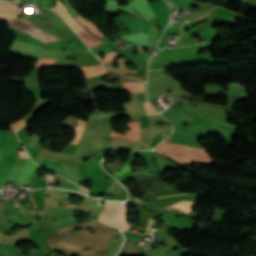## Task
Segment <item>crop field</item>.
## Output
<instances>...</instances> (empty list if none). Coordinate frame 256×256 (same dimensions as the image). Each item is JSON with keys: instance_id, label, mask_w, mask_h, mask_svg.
<instances>
[{"instance_id": "crop-field-1", "label": "crop field", "mask_w": 256, "mask_h": 256, "mask_svg": "<svg viewBox=\"0 0 256 256\" xmlns=\"http://www.w3.org/2000/svg\"><path fill=\"white\" fill-rule=\"evenodd\" d=\"M158 147L181 151V152L193 153V154L207 155V153L204 152V149L170 143V142H162L161 144L158 145ZM160 148L157 149L158 152L168 155V156H171V157H174L184 163L198 162V163H203V164H208V165L214 163L213 160H211L209 158V156L186 154V153L170 151V150H165V149H160Z\"/></svg>"}, {"instance_id": "crop-field-2", "label": "crop field", "mask_w": 256, "mask_h": 256, "mask_svg": "<svg viewBox=\"0 0 256 256\" xmlns=\"http://www.w3.org/2000/svg\"><path fill=\"white\" fill-rule=\"evenodd\" d=\"M40 13H42L46 16L49 14V12H47L45 10H41ZM6 23H9L28 34L41 39L45 43L50 42V41H55V40H61V38L47 32V31H45L27 21L25 22L19 18H15L12 20H6Z\"/></svg>"}, {"instance_id": "crop-field-3", "label": "crop field", "mask_w": 256, "mask_h": 256, "mask_svg": "<svg viewBox=\"0 0 256 256\" xmlns=\"http://www.w3.org/2000/svg\"><path fill=\"white\" fill-rule=\"evenodd\" d=\"M140 122H131L128 123V127L131 129L129 132H125L126 135H120L117 133L112 132L111 135H117V136H122L126 138H134V139H139V134H140V128H139ZM117 136H110V139H112L114 144H135L136 141L138 140H133V139H126L122 137H117Z\"/></svg>"}, {"instance_id": "crop-field-4", "label": "crop field", "mask_w": 256, "mask_h": 256, "mask_svg": "<svg viewBox=\"0 0 256 256\" xmlns=\"http://www.w3.org/2000/svg\"><path fill=\"white\" fill-rule=\"evenodd\" d=\"M53 10L57 12L76 33L84 29L76 20H74L68 14L67 9L64 7V5L61 4L60 1H57L56 6Z\"/></svg>"}, {"instance_id": "crop-field-5", "label": "crop field", "mask_w": 256, "mask_h": 256, "mask_svg": "<svg viewBox=\"0 0 256 256\" xmlns=\"http://www.w3.org/2000/svg\"><path fill=\"white\" fill-rule=\"evenodd\" d=\"M120 205H121V203H119V202H108L107 206L105 207L103 212L100 214L99 220L109 226H113V227L117 228L114 223V220L112 218V213Z\"/></svg>"}, {"instance_id": "crop-field-6", "label": "crop field", "mask_w": 256, "mask_h": 256, "mask_svg": "<svg viewBox=\"0 0 256 256\" xmlns=\"http://www.w3.org/2000/svg\"><path fill=\"white\" fill-rule=\"evenodd\" d=\"M78 35L86 43V45L88 47H90V48H92V47H94L96 45L104 43L103 41H101L97 37L91 35L87 30H84V31L78 33Z\"/></svg>"}, {"instance_id": "crop-field-7", "label": "crop field", "mask_w": 256, "mask_h": 256, "mask_svg": "<svg viewBox=\"0 0 256 256\" xmlns=\"http://www.w3.org/2000/svg\"><path fill=\"white\" fill-rule=\"evenodd\" d=\"M81 24H83L92 34L104 38L103 33L92 23L88 22L87 20L83 19L81 16L76 18Z\"/></svg>"}, {"instance_id": "crop-field-8", "label": "crop field", "mask_w": 256, "mask_h": 256, "mask_svg": "<svg viewBox=\"0 0 256 256\" xmlns=\"http://www.w3.org/2000/svg\"><path fill=\"white\" fill-rule=\"evenodd\" d=\"M139 116H140V121L143 127H148V116L143 106L142 93H139Z\"/></svg>"}, {"instance_id": "crop-field-9", "label": "crop field", "mask_w": 256, "mask_h": 256, "mask_svg": "<svg viewBox=\"0 0 256 256\" xmlns=\"http://www.w3.org/2000/svg\"><path fill=\"white\" fill-rule=\"evenodd\" d=\"M126 91L129 92H144V84L137 82L123 83Z\"/></svg>"}, {"instance_id": "crop-field-10", "label": "crop field", "mask_w": 256, "mask_h": 256, "mask_svg": "<svg viewBox=\"0 0 256 256\" xmlns=\"http://www.w3.org/2000/svg\"><path fill=\"white\" fill-rule=\"evenodd\" d=\"M19 14H20L19 12L0 8V17L2 18H15Z\"/></svg>"}, {"instance_id": "crop-field-11", "label": "crop field", "mask_w": 256, "mask_h": 256, "mask_svg": "<svg viewBox=\"0 0 256 256\" xmlns=\"http://www.w3.org/2000/svg\"><path fill=\"white\" fill-rule=\"evenodd\" d=\"M40 1H44V0H40ZM55 1H56V0H46V3L36 1V2H35V5H37V6H42V7H46V8L51 9ZM29 3H31V4L33 5L34 1H33V0H30Z\"/></svg>"}, {"instance_id": "crop-field-12", "label": "crop field", "mask_w": 256, "mask_h": 256, "mask_svg": "<svg viewBox=\"0 0 256 256\" xmlns=\"http://www.w3.org/2000/svg\"><path fill=\"white\" fill-rule=\"evenodd\" d=\"M56 59H38L36 61V66H51L53 62H55Z\"/></svg>"}, {"instance_id": "crop-field-13", "label": "crop field", "mask_w": 256, "mask_h": 256, "mask_svg": "<svg viewBox=\"0 0 256 256\" xmlns=\"http://www.w3.org/2000/svg\"><path fill=\"white\" fill-rule=\"evenodd\" d=\"M70 38H71L72 41L77 45V47H78L79 49L88 50V48L85 46V44L82 43L76 35H74V36H72V37H70Z\"/></svg>"}, {"instance_id": "crop-field-14", "label": "crop field", "mask_w": 256, "mask_h": 256, "mask_svg": "<svg viewBox=\"0 0 256 256\" xmlns=\"http://www.w3.org/2000/svg\"><path fill=\"white\" fill-rule=\"evenodd\" d=\"M145 109L148 115H159L149 104L148 102H144Z\"/></svg>"}, {"instance_id": "crop-field-15", "label": "crop field", "mask_w": 256, "mask_h": 256, "mask_svg": "<svg viewBox=\"0 0 256 256\" xmlns=\"http://www.w3.org/2000/svg\"><path fill=\"white\" fill-rule=\"evenodd\" d=\"M26 122H28V121L21 119V120L17 121L16 123L10 125V127H12L14 130H17L20 127H22Z\"/></svg>"}, {"instance_id": "crop-field-16", "label": "crop field", "mask_w": 256, "mask_h": 256, "mask_svg": "<svg viewBox=\"0 0 256 256\" xmlns=\"http://www.w3.org/2000/svg\"><path fill=\"white\" fill-rule=\"evenodd\" d=\"M130 166L131 164H126L125 167L123 169H121V172H116L114 174H112L113 176H115L116 178L119 177L120 175L124 174L125 172H127L128 170H130Z\"/></svg>"}, {"instance_id": "crop-field-17", "label": "crop field", "mask_w": 256, "mask_h": 256, "mask_svg": "<svg viewBox=\"0 0 256 256\" xmlns=\"http://www.w3.org/2000/svg\"><path fill=\"white\" fill-rule=\"evenodd\" d=\"M30 193H32L33 199H35L34 193H33V192H30ZM30 200H32L31 194H30ZM32 201H33V203H34L33 209H35V207H36V202H35V200H32Z\"/></svg>"}, {"instance_id": "crop-field-18", "label": "crop field", "mask_w": 256, "mask_h": 256, "mask_svg": "<svg viewBox=\"0 0 256 256\" xmlns=\"http://www.w3.org/2000/svg\"><path fill=\"white\" fill-rule=\"evenodd\" d=\"M78 192H81V193H83V194H86V190H84L83 188H81V187H78V190H77Z\"/></svg>"}, {"instance_id": "crop-field-19", "label": "crop field", "mask_w": 256, "mask_h": 256, "mask_svg": "<svg viewBox=\"0 0 256 256\" xmlns=\"http://www.w3.org/2000/svg\"><path fill=\"white\" fill-rule=\"evenodd\" d=\"M54 181H55L54 177L51 176V175H49V177H48V182H54Z\"/></svg>"}, {"instance_id": "crop-field-20", "label": "crop field", "mask_w": 256, "mask_h": 256, "mask_svg": "<svg viewBox=\"0 0 256 256\" xmlns=\"http://www.w3.org/2000/svg\"><path fill=\"white\" fill-rule=\"evenodd\" d=\"M29 17H30L29 15H24V14L21 16V18H23L25 20H27Z\"/></svg>"}, {"instance_id": "crop-field-21", "label": "crop field", "mask_w": 256, "mask_h": 256, "mask_svg": "<svg viewBox=\"0 0 256 256\" xmlns=\"http://www.w3.org/2000/svg\"><path fill=\"white\" fill-rule=\"evenodd\" d=\"M88 215H90V216H98L99 213H90V214H88Z\"/></svg>"}, {"instance_id": "crop-field-22", "label": "crop field", "mask_w": 256, "mask_h": 256, "mask_svg": "<svg viewBox=\"0 0 256 256\" xmlns=\"http://www.w3.org/2000/svg\"><path fill=\"white\" fill-rule=\"evenodd\" d=\"M179 199H184V198H179ZM179 199H175V200H179ZM154 202H167V201H154ZM149 203H153V202H149Z\"/></svg>"}, {"instance_id": "crop-field-23", "label": "crop field", "mask_w": 256, "mask_h": 256, "mask_svg": "<svg viewBox=\"0 0 256 256\" xmlns=\"http://www.w3.org/2000/svg\"><path fill=\"white\" fill-rule=\"evenodd\" d=\"M14 205H15V209H16V210H19V208H18V204H17V203H15ZM16 212H19V211H16Z\"/></svg>"}, {"instance_id": "crop-field-24", "label": "crop field", "mask_w": 256, "mask_h": 256, "mask_svg": "<svg viewBox=\"0 0 256 256\" xmlns=\"http://www.w3.org/2000/svg\"><path fill=\"white\" fill-rule=\"evenodd\" d=\"M21 3H28L29 0H20Z\"/></svg>"}, {"instance_id": "crop-field-25", "label": "crop field", "mask_w": 256, "mask_h": 256, "mask_svg": "<svg viewBox=\"0 0 256 256\" xmlns=\"http://www.w3.org/2000/svg\"><path fill=\"white\" fill-rule=\"evenodd\" d=\"M12 227H13V225L10 224V226H9V228H8V230H7V231H9V233H10V230L12 229Z\"/></svg>"}, {"instance_id": "crop-field-26", "label": "crop field", "mask_w": 256, "mask_h": 256, "mask_svg": "<svg viewBox=\"0 0 256 256\" xmlns=\"http://www.w3.org/2000/svg\"><path fill=\"white\" fill-rule=\"evenodd\" d=\"M157 110H158V111H162V110H164V108H163V107L157 108Z\"/></svg>"}, {"instance_id": "crop-field-27", "label": "crop field", "mask_w": 256, "mask_h": 256, "mask_svg": "<svg viewBox=\"0 0 256 256\" xmlns=\"http://www.w3.org/2000/svg\"><path fill=\"white\" fill-rule=\"evenodd\" d=\"M150 223H151V220L149 221L147 231H148V230H149V228H150Z\"/></svg>"}, {"instance_id": "crop-field-28", "label": "crop field", "mask_w": 256, "mask_h": 256, "mask_svg": "<svg viewBox=\"0 0 256 256\" xmlns=\"http://www.w3.org/2000/svg\"><path fill=\"white\" fill-rule=\"evenodd\" d=\"M16 157H20V158H27V157H21V156H18V155H16ZM28 159H30V158H28Z\"/></svg>"}, {"instance_id": "crop-field-29", "label": "crop field", "mask_w": 256, "mask_h": 256, "mask_svg": "<svg viewBox=\"0 0 256 256\" xmlns=\"http://www.w3.org/2000/svg\"><path fill=\"white\" fill-rule=\"evenodd\" d=\"M138 49L140 50V52H142V51H143L140 47H138Z\"/></svg>"}, {"instance_id": "crop-field-30", "label": "crop field", "mask_w": 256, "mask_h": 256, "mask_svg": "<svg viewBox=\"0 0 256 256\" xmlns=\"http://www.w3.org/2000/svg\"><path fill=\"white\" fill-rule=\"evenodd\" d=\"M228 86H233V84H229Z\"/></svg>"}, {"instance_id": "crop-field-31", "label": "crop field", "mask_w": 256, "mask_h": 256, "mask_svg": "<svg viewBox=\"0 0 256 256\" xmlns=\"http://www.w3.org/2000/svg\"><path fill=\"white\" fill-rule=\"evenodd\" d=\"M181 46L177 47L176 49L180 48Z\"/></svg>"}, {"instance_id": "crop-field-32", "label": "crop field", "mask_w": 256, "mask_h": 256, "mask_svg": "<svg viewBox=\"0 0 256 256\" xmlns=\"http://www.w3.org/2000/svg\"><path fill=\"white\" fill-rule=\"evenodd\" d=\"M188 14H185V17L187 16Z\"/></svg>"}]
</instances>
